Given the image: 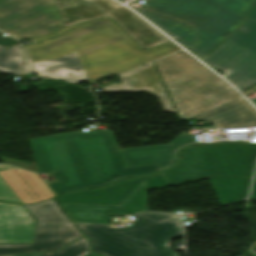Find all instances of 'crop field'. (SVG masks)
<instances>
[{
    "label": "crop field",
    "mask_w": 256,
    "mask_h": 256,
    "mask_svg": "<svg viewBox=\"0 0 256 256\" xmlns=\"http://www.w3.org/2000/svg\"><path fill=\"white\" fill-rule=\"evenodd\" d=\"M29 140L40 173H52L58 181L48 184L56 195L163 170L157 164L126 168L111 130Z\"/></svg>",
    "instance_id": "8a807250"
},
{
    "label": "crop field",
    "mask_w": 256,
    "mask_h": 256,
    "mask_svg": "<svg viewBox=\"0 0 256 256\" xmlns=\"http://www.w3.org/2000/svg\"><path fill=\"white\" fill-rule=\"evenodd\" d=\"M32 40L26 49L33 62L77 52L91 84L181 49L169 42L141 50L108 17Z\"/></svg>",
    "instance_id": "ac0d7876"
},
{
    "label": "crop field",
    "mask_w": 256,
    "mask_h": 256,
    "mask_svg": "<svg viewBox=\"0 0 256 256\" xmlns=\"http://www.w3.org/2000/svg\"><path fill=\"white\" fill-rule=\"evenodd\" d=\"M254 0H148L136 9L168 35L205 57L234 31Z\"/></svg>",
    "instance_id": "34b2d1b8"
},
{
    "label": "crop field",
    "mask_w": 256,
    "mask_h": 256,
    "mask_svg": "<svg viewBox=\"0 0 256 256\" xmlns=\"http://www.w3.org/2000/svg\"><path fill=\"white\" fill-rule=\"evenodd\" d=\"M182 155L174 168L163 172L170 186L209 178L221 205L247 198L256 162V145L194 146Z\"/></svg>",
    "instance_id": "412701ff"
},
{
    "label": "crop field",
    "mask_w": 256,
    "mask_h": 256,
    "mask_svg": "<svg viewBox=\"0 0 256 256\" xmlns=\"http://www.w3.org/2000/svg\"><path fill=\"white\" fill-rule=\"evenodd\" d=\"M129 229L109 225L77 224L94 251L104 256H179L170 250V240L182 235L174 214L140 213Z\"/></svg>",
    "instance_id": "f4fd0767"
},
{
    "label": "crop field",
    "mask_w": 256,
    "mask_h": 256,
    "mask_svg": "<svg viewBox=\"0 0 256 256\" xmlns=\"http://www.w3.org/2000/svg\"><path fill=\"white\" fill-rule=\"evenodd\" d=\"M181 120L241 97L220 78L181 51L155 61Z\"/></svg>",
    "instance_id": "dd49c442"
},
{
    "label": "crop field",
    "mask_w": 256,
    "mask_h": 256,
    "mask_svg": "<svg viewBox=\"0 0 256 256\" xmlns=\"http://www.w3.org/2000/svg\"><path fill=\"white\" fill-rule=\"evenodd\" d=\"M203 60L242 93L256 84V2L245 23Z\"/></svg>",
    "instance_id": "e52e79f7"
},
{
    "label": "crop field",
    "mask_w": 256,
    "mask_h": 256,
    "mask_svg": "<svg viewBox=\"0 0 256 256\" xmlns=\"http://www.w3.org/2000/svg\"><path fill=\"white\" fill-rule=\"evenodd\" d=\"M64 26L109 16L140 47L152 48L168 39L112 0H53Z\"/></svg>",
    "instance_id": "d8731c3e"
},
{
    "label": "crop field",
    "mask_w": 256,
    "mask_h": 256,
    "mask_svg": "<svg viewBox=\"0 0 256 256\" xmlns=\"http://www.w3.org/2000/svg\"><path fill=\"white\" fill-rule=\"evenodd\" d=\"M63 27L52 0H0V30L19 40Z\"/></svg>",
    "instance_id": "5a996713"
},
{
    "label": "crop field",
    "mask_w": 256,
    "mask_h": 256,
    "mask_svg": "<svg viewBox=\"0 0 256 256\" xmlns=\"http://www.w3.org/2000/svg\"><path fill=\"white\" fill-rule=\"evenodd\" d=\"M81 236L68 217L37 219L34 244H0V254L55 251Z\"/></svg>",
    "instance_id": "3316defc"
},
{
    "label": "crop field",
    "mask_w": 256,
    "mask_h": 256,
    "mask_svg": "<svg viewBox=\"0 0 256 256\" xmlns=\"http://www.w3.org/2000/svg\"><path fill=\"white\" fill-rule=\"evenodd\" d=\"M74 222L109 223V213H136L147 210L145 181L121 205L62 204Z\"/></svg>",
    "instance_id": "28ad6ade"
},
{
    "label": "crop field",
    "mask_w": 256,
    "mask_h": 256,
    "mask_svg": "<svg viewBox=\"0 0 256 256\" xmlns=\"http://www.w3.org/2000/svg\"><path fill=\"white\" fill-rule=\"evenodd\" d=\"M34 230L23 205L0 202V243H33Z\"/></svg>",
    "instance_id": "d1516ede"
},
{
    "label": "crop field",
    "mask_w": 256,
    "mask_h": 256,
    "mask_svg": "<svg viewBox=\"0 0 256 256\" xmlns=\"http://www.w3.org/2000/svg\"><path fill=\"white\" fill-rule=\"evenodd\" d=\"M120 78L122 84L102 87V92L146 91L159 98L165 112H175L152 63L129 73L122 74Z\"/></svg>",
    "instance_id": "22f410ed"
},
{
    "label": "crop field",
    "mask_w": 256,
    "mask_h": 256,
    "mask_svg": "<svg viewBox=\"0 0 256 256\" xmlns=\"http://www.w3.org/2000/svg\"><path fill=\"white\" fill-rule=\"evenodd\" d=\"M142 177L123 180L114 186L75 191L57 197L60 203L121 205L144 181Z\"/></svg>",
    "instance_id": "cbeb9de0"
},
{
    "label": "crop field",
    "mask_w": 256,
    "mask_h": 256,
    "mask_svg": "<svg viewBox=\"0 0 256 256\" xmlns=\"http://www.w3.org/2000/svg\"><path fill=\"white\" fill-rule=\"evenodd\" d=\"M27 62L22 74L37 72L41 79H61L70 83L87 81L85 70L76 53L56 59L32 63L24 46Z\"/></svg>",
    "instance_id": "5142ce71"
},
{
    "label": "crop field",
    "mask_w": 256,
    "mask_h": 256,
    "mask_svg": "<svg viewBox=\"0 0 256 256\" xmlns=\"http://www.w3.org/2000/svg\"><path fill=\"white\" fill-rule=\"evenodd\" d=\"M192 144L186 134H181L169 144L120 150L127 167L158 163L164 169L175 162L168 160L170 154H177L180 148Z\"/></svg>",
    "instance_id": "d9b57169"
},
{
    "label": "crop field",
    "mask_w": 256,
    "mask_h": 256,
    "mask_svg": "<svg viewBox=\"0 0 256 256\" xmlns=\"http://www.w3.org/2000/svg\"><path fill=\"white\" fill-rule=\"evenodd\" d=\"M0 175L23 203H35L55 196L37 174L15 168L12 173L4 171Z\"/></svg>",
    "instance_id": "733c2abd"
},
{
    "label": "crop field",
    "mask_w": 256,
    "mask_h": 256,
    "mask_svg": "<svg viewBox=\"0 0 256 256\" xmlns=\"http://www.w3.org/2000/svg\"><path fill=\"white\" fill-rule=\"evenodd\" d=\"M254 114H256V110L241 97L191 118H196L222 128Z\"/></svg>",
    "instance_id": "4a817a6b"
},
{
    "label": "crop field",
    "mask_w": 256,
    "mask_h": 256,
    "mask_svg": "<svg viewBox=\"0 0 256 256\" xmlns=\"http://www.w3.org/2000/svg\"><path fill=\"white\" fill-rule=\"evenodd\" d=\"M24 63L23 55L15 45L0 54V72L18 76Z\"/></svg>",
    "instance_id": "bc2a9ffb"
},
{
    "label": "crop field",
    "mask_w": 256,
    "mask_h": 256,
    "mask_svg": "<svg viewBox=\"0 0 256 256\" xmlns=\"http://www.w3.org/2000/svg\"><path fill=\"white\" fill-rule=\"evenodd\" d=\"M26 206L35 218L66 216L61 211L54 199H50L39 204Z\"/></svg>",
    "instance_id": "214f88e0"
},
{
    "label": "crop field",
    "mask_w": 256,
    "mask_h": 256,
    "mask_svg": "<svg viewBox=\"0 0 256 256\" xmlns=\"http://www.w3.org/2000/svg\"><path fill=\"white\" fill-rule=\"evenodd\" d=\"M90 251L89 242L84 237L56 253L42 254L41 256H84Z\"/></svg>",
    "instance_id": "92a150f3"
},
{
    "label": "crop field",
    "mask_w": 256,
    "mask_h": 256,
    "mask_svg": "<svg viewBox=\"0 0 256 256\" xmlns=\"http://www.w3.org/2000/svg\"><path fill=\"white\" fill-rule=\"evenodd\" d=\"M144 178L146 179L147 190L168 186L163 174L147 176Z\"/></svg>",
    "instance_id": "dafd665d"
},
{
    "label": "crop field",
    "mask_w": 256,
    "mask_h": 256,
    "mask_svg": "<svg viewBox=\"0 0 256 256\" xmlns=\"http://www.w3.org/2000/svg\"><path fill=\"white\" fill-rule=\"evenodd\" d=\"M15 195L5 181L0 177V200L22 203Z\"/></svg>",
    "instance_id": "00972430"
},
{
    "label": "crop field",
    "mask_w": 256,
    "mask_h": 256,
    "mask_svg": "<svg viewBox=\"0 0 256 256\" xmlns=\"http://www.w3.org/2000/svg\"><path fill=\"white\" fill-rule=\"evenodd\" d=\"M0 157L2 158V160H3L6 164L15 165V166H18V167H22V168H25V169H28V170H32V171L38 172V168H37L36 165H32V164H28V163L16 161V160L9 159V158L2 157V156H0ZM38 173H39V172H38Z\"/></svg>",
    "instance_id": "a9b5d70f"
},
{
    "label": "crop field",
    "mask_w": 256,
    "mask_h": 256,
    "mask_svg": "<svg viewBox=\"0 0 256 256\" xmlns=\"http://www.w3.org/2000/svg\"><path fill=\"white\" fill-rule=\"evenodd\" d=\"M16 40L0 32V45L11 46Z\"/></svg>",
    "instance_id": "4177f3b9"
},
{
    "label": "crop field",
    "mask_w": 256,
    "mask_h": 256,
    "mask_svg": "<svg viewBox=\"0 0 256 256\" xmlns=\"http://www.w3.org/2000/svg\"><path fill=\"white\" fill-rule=\"evenodd\" d=\"M251 125H256V115L228 127L251 126Z\"/></svg>",
    "instance_id": "730fd06b"
},
{
    "label": "crop field",
    "mask_w": 256,
    "mask_h": 256,
    "mask_svg": "<svg viewBox=\"0 0 256 256\" xmlns=\"http://www.w3.org/2000/svg\"><path fill=\"white\" fill-rule=\"evenodd\" d=\"M249 199H256V176Z\"/></svg>",
    "instance_id": "eef30255"
},
{
    "label": "crop field",
    "mask_w": 256,
    "mask_h": 256,
    "mask_svg": "<svg viewBox=\"0 0 256 256\" xmlns=\"http://www.w3.org/2000/svg\"><path fill=\"white\" fill-rule=\"evenodd\" d=\"M14 167L9 166V165H0V171H4V170H8L9 172H11L13 170Z\"/></svg>",
    "instance_id": "ae1a2a85"
},
{
    "label": "crop field",
    "mask_w": 256,
    "mask_h": 256,
    "mask_svg": "<svg viewBox=\"0 0 256 256\" xmlns=\"http://www.w3.org/2000/svg\"><path fill=\"white\" fill-rule=\"evenodd\" d=\"M4 256H40V254H29V255H4Z\"/></svg>",
    "instance_id": "d3111659"
},
{
    "label": "crop field",
    "mask_w": 256,
    "mask_h": 256,
    "mask_svg": "<svg viewBox=\"0 0 256 256\" xmlns=\"http://www.w3.org/2000/svg\"><path fill=\"white\" fill-rule=\"evenodd\" d=\"M221 85H223L225 88H227L228 90L233 89L232 87H230L228 84H226L225 82L220 83Z\"/></svg>",
    "instance_id": "750c4746"
},
{
    "label": "crop field",
    "mask_w": 256,
    "mask_h": 256,
    "mask_svg": "<svg viewBox=\"0 0 256 256\" xmlns=\"http://www.w3.org/2000/svg\"><path fill=\"white\" fill-rule=\"evenodd\" d=\"M168 159H170L172 161H176L177 155H170V157Z\"/></svg>",
    "instance_id": "bd1437ed"
},
{
    "label": "crop field",
    "mask_w": 256,
    "mask_h": 256,
    "mask_svg": "<svg viewBox=\"0 0 256 256\" xmlns=\"http://www.w3.org/2000/svg\"><path fill=\"white\" fill-rule=\"evenodd\" d=\"M87 256H100V255L91 252V253H90L89 255H87Z\"/></svg>",
    "instance_id": "1d83c4d3"
},
{
    "label": "crop field",
    "mask_w": 256,
    "mask_h": 256,
    "mask_svg": "<svg viewBox=\"0 0 256 256\" xmlns=\"http://www.w3.org/2000/svg\"><path fill=\"white\" fill-rule=\"evenodd\" d=\"M189 137H190L192 143H195L196 140H195L194 136H189Z\"/></svg>",
    "instance_id": "120bbe31"
},
{
    "label": "crop field",
    "mask_w": 256,
    "mask_h": 256,
    "mask_svg": "<svg viewBox=\"0 0 256 256\" xmlns=\"http://www.w3.org/2000/svg\"><path fill=\"white\" fill-rule=\"evenodd\" d=\"M7 47L0 46V52L6 49Z\"/></svg>",
    "instance_id": "d32e631a"
},
{
    "label": "crop field",
    "mask_w": 256,
    "mask_h": 256,
    "mask_svg": "<svg viewBox=\"0 0 256 256\" xmlns=\"http://www.w3.org/2000/svg\"><path fill=\"white\" fill-rule=\"evenodd\" d=\"M119 1H121V2H125V1H123V0H119Z\"/></svg>",
    "instance_id": "5866460e"
},
{
    "label": "crop field",
    "mask_w": 256,
    "mask_h": 256,
    "mask_svg": "<svg viewBox=\"0 0 256 256\" xmlns=\"http://www.w3.org/2000/svg\"><path fill=\"white\" fill-rule=\"evenodd\" d=\"M254 103L256 104V101Z\"/></svg>",
    "instance_id": "028f5c9d"
}]
</instances>
